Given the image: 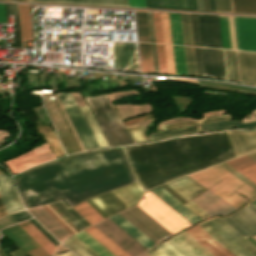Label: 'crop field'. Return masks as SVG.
<instances>
[{"instance_id":"obj_1","label":"crop field","mask_w":256,"mask_h":256,"mask_svg":"<svg viewBox=\"0 0 256 256\" xmlns=\"http://www.w3.org/2000/svg\"><path fill=\"white\" fill-rule=\"evenodd\" d=\"M133 181L135 179L122 149H114L74 156L34 169L17 177L15 184L26 208L62 199L71 207L91 196Z\"/></svg>"},{"instance_id":"obj_2","label":"crop field","mask_w":256,"mask_h":256,"mask_svg":"<svg viewBox=\"0 0 256 256\" xmlns=\"http://www.w3.org/2000/svg\"><path fill=\"white\" fill-rule=\"evenodd\" d=\"M144 189L237 157L228 133L123 148Z\"/></svg>"},{"instance_id":"obj_3","label":"crop field","mask_w":256,"mask_h":256,"mask_svg":"<svg viewBox=\"0 0 256 256\" xmlns=\"http://www.w3.org/2000/svg\"><path fill=\"white\" fill-rule=\"evenodd\" d=\"M189 176L236 209L248 202V200L232 190L246 196L250 200L256 196L255 191L219 165L190 174Z\"/></svg>"},{"instance_id":"obj_4","label":"crop field","mask_w":256,"mask_h":256,"mask_svg":"<svg viewBox=\"0 0 256 256\" xmlns=\"http://www.w3.org/2000/svg\"><path fill=\"white\" fill-rule=\"evenodd\" d=\"M87 101L110 147L133 143L125 126L111 106L107 94L88 98Z\"/></svg>"},{"instance_id":"obj_5","label":"crop field","mask_w":256,"mask_h":256,"mask_svg":"<svg viewBox=\"0 0 256 256\" xmlns=\"http://www.w3.org/2000/svg\"><path fill=\"white\" fill-rule=\"evenodd\" d=\"M198 225L235 256H256V248L219 217Z\"/></svg>"},{"instance_id":"obj_6","label":"crop field","mask_w":256,"mask_h":256,"mask_svg":"<svg viewBox=\"0 0 256 256\" xmlns=\"http://www.w3.org/2000/svg\"><path fill=\"white\" fill-rule=\"evenodd\" d=\"M144 197L137 206L173 234L191 225L150 191L145 193Z\"/></svg>"},{"instance_id":"obj_7","label":"crop field","mask_w":256,"mask_h":256,"mask_svg":"<svg viewBox=\"0 0 256 256\" xmlns=\"http://www.w3.org/2000/svg\"><path fill=\"white\" fill-rule=\"evenodd\" d=\"M85 151L98 149L99 146L82 116L72 93H57Z\"/></svg>"},{"instance_id":"obj_8","label":"crop field","mask_w":256,"mask_h":256,"mask_svg":"<svg viewBox=\"0 0 256 256\" xmlns=\"http://www.w3.org/2000/svg\"><path fill=\"white\" fill-rule=\"evenodd\" d=\"M120 215L155 243L172 235L137 206L120 213Z\"/></svg>"},{"instance_id":"obj_9","label":"crop field","mask_w":256,"mask_h":256,"mask_svg":"<svg viewBox=\"0 0 256 256\" xmlns=\"http://www.w3.org/2000/svg\"><path fill=\"white\" fill-rule=\"evenodd\" d=\"M237 50L256 51V19L234 17Z\"/></svg>"},{"instance_id":"obj_10","label":"crop field","mask_w":256,"mask_h":256,"mask_svg":"<svg viewBox=\"0 0 256 256\" xmlns=\"http://www.w3.org/2000/svg\"><path fill=\"white\" fill-rule=\"evenodd\" d=\"M203 46L222 48L218 16L199 15Z\"/></svg>"},{"instance_id":"obj_11","label":"crop field","mask_w":256,"mask_h":256,"mask_svg":"<svg viewBox=\"0 0 256 256\" xmlns=\"http://www.w3.org/2000/svg\"><path fill=\"white\" fill-rule=\"evenodd\" d=\"M167 242L183 256H213L184 231Z\"/></svg>"},{"instance_id":"obj_12","label":"crop field","mask_w":256,"mask_h":256,"mask_svg":"<svg viewBox=\"0 0 256 256\" xmlns=\"http://www.w3.org/2000/svg\"><path fill=\"white\" fill-rule=\"evenodd\" d=\"M192 201H194L211 216L215 214L226 215L236 210L209 190L192 199Z\"/></svg>"},{"instance_id":"obj_13","label":"crop field","mask_w":256,"mask_h":256,"mask_svg":"<svg viewBox=\"0 0 256 256\" xmlns=\"http://www.w3.org/2000/svg\"><path fill=\"white\" fill-rule=\"evenodd\" d=\"M0 197L8 214L24 209L11 180L5 174L0 175Z\"/></svg>"},{"instance_id":"obj_14","label":"crop field","mask_w":256,"mask_h":256,"mask_svg":"<svg viewBox=\"0 0 256 256\" xmlns=\"http://www.w3.org/2000/svg\"><path fill=\"white\" fill-rule=\"evenodd\" d=\"M184 231L214 256H233L229 251H227L223 246L216 242L197 225L192 226Z\"/></svg>"},{"instance_id":"obj_15","label":"crop field","mask_w":256,"mask_h":256,"mask_svg":"<svg viewBox=\"0 0 256 256\" xmlns=\"http://www.w3.org/2000/svg\"><path fill=\"white\" fill-rule=\"evenodd\" d=\"M203 52L206 77L225 80L222 50L203 48Z\"/></svg>"},{"instance_id":"obj_16","label":"crop field","mask_w":256,"mask_h":256,"mask_svg":"<svg viewBox=\"0 0 256 256\" xmlns=\"http://www.w3.org/2000/svg\"><path fill=\"white\" fill-rule=\"evenodd\" d=\"M151 192H153L156 196H158L162 201H164L191 224L202 220V218L184 206L179 200H177L162 187L151 190Z\"/></svg>"},{"instance_id":"obj_17","label":"crop field","mask_w":256,"mask_h":256,"mask_svg":"<svg viewBox=\"0 0 256 256\" xmlns=\"http://www.w3.org/2000/svg\"><path fill=\"white\" fill-rule=\"evenodd\" d=\"M241 82L256 85V54L237 52Z\"/></svg>"},{"instance_id":"obj_18","label":"crop field","mask_w":256,"mask_h":256,"mask_svg":"<svg viewBox=\"0 0 256 256\" xmlns=\"http://www.w3.org/2000/svg\"><path fill=\"white\" fill-rule=\"evenodd\" d=\"M167 185H169L187 201L204 190L203 187H201L187 176L174 180L172 183H167Z\"/></svg>"},{"instance_id":"obj_19","label":"crop field","mask_w":256,"mask_h":256,"mask_svg":"<svg viewBox=\"0 0 256 256\" xmlns=\"http://www.w3.org/2000/svg\"><path fill=\"white\" fill-rule=\"evenodd\" d=\"M238 155L256 150V131L248 133L229 132Z\"/></svg>"},{"instance_id":"obj_20","label":"crop field","mask_w":256,"mask_h":256,"mask_svg":"<svg viewBox=\"0 0 256 256\" xmlns=\"http://www.w3.org/2000/svg\"><path fill=\"white\" fill-rule=\"evenodd\" d=\"M98 207H100L108 216L113 215L127 208L120 200H118L111 192L100 195L91 199Z\"/></svg>"},{"instance_id":"obj_21","label":"crop field","mask_w":256,"mask_h":256,"mask_svg":"<svg viewBox=\"0 0 256 256\" xmlns=\"http://www.w3.org/2000/svg\"><path fill=\"white\" fill-rule=\"evenodd\" d=\"M226 163L256 184V162L248 156L244 155Z\"/></svg>"},{"instance_id":"obj_22","label":"crop field","mask_w":256,"mask_h":256,"mask_svg":"<svg viewBox=\"0 0 256 256\" xmlns=\"http://www.w3.org/2000/svg\"><path fill=\"white\" fill-rule=\"evenodd\" d=\"M146 7L197 10L196 0H145Z\"/></svg>"},{"instance_id":"obj_23","label":"crop field","mask_w":256,"mask_h":256,"mask_svg":"<svg viewBox=\"0 0 256 256\" xmlns=\"http://www.w3.org/2000/svg\"><path fill=\"white\" fill-rule=\"evenodd\" d=\"M143 192L137 183L112 191L127 207L136 204Z\"/></svg>"},{"instance_id":"obj_24","label":"crop field","mask_w":256,"mask_h":256,"mask_svg":"<svg viewBox=\"0 0 256 256\" xmlns=\"http://www.w3.org/2000/svg\"><path fill=\"white\" fill-rule=\"evenodd\" d=\"M110 219H112L116 224L123 228L127 233H129L133 238H135L147 249L155 244L119 214L110 217Z\"/></svg>"},{"instance_id":"obj_25","label":"crop field","mask_w":256,"mask_h":256,"mask_svg":"<svg viewBox=\"0 0 256 256\" xmlns=\"http://www.w3.org/2000/svg\"><path fill=\"white\" fill-rule=\"evenodd\" d=\"M223 48L235 49L231 17L219 16Z\"/></svg>"},{"instance_id":"obj_26","label":"crop field","mask_w":256,"mask_h":256,"mask_svg":"<svg viewBox=\"0 0 256 256\" xmlns=\"http://www.w3.org/2000/svg\"><path fill=\"white\" fill-rule=\"evenodd\" d=\"M19 225L33 238L35 239L50 255L55 250V246L42 235L29 221L19 223Z\"/></svg>"},{"instance_id":"obj_27","label":"crop field","mask_w":256,"mask_h":256,"mask_svg":"<svg viewBox=\"0 0 256 256\" xmlns=\"http://www.w3.org/2000/svg\"><path fill=\"white\" fill-rule=\"evenodd\" d=\"M91 236H93L97 241H99L103 246H105L109 251H111L115 256H129L117 245H115L111 240L104 236L93 226L85 229ZM86 232V233H87Z\"/></svg>"},{"instance_id":"obj_28","label":"crop field","mask_w":256,"mask_h":256,"mask_svg":"<svg viewBox=\"0 0 256 256\" xmlns=\"http://www.w3.org/2000/svg\"><path fill=\"white\" fill-rule=\"evenodd\" d=\"M138 41L150 42L147 12H135Z\"/></svg>"},{"instance_id":"obj_29","label":"crop field","mask_w":256,"mask_h":256,"mask_svg":"<svg viewBox=\"0 0 256 256\" xmlns=\"http://www.w3.org/2000/svg\"><path fill=\"white\" fill-rule=\"evenodd\" d=\"M63 244H65L79 256H99L74 235L63 242Z\"/></svg>"},{"instance_id":"obj_30","label":"crop field","mask_w":256,"mask_h":256,"mask_svg":"<svg viewBox=\"0 0 256 256\" xmlns=\"http://www.w3.org/2000/svg\"><path fill=\"white\" fill-rule=\"evenodd\" d=\"M74 235L77 236L80 240H82L86 245H88L100 256H114L111 252H109L105 247H103L99 242H97L93 237H91L84 230Z\"/></svg>"},{"instance_id":"obj_31","label":"crop field","mask_w":256,"mask_h":256,"mask_svg":"<svg viewBox=\"0 0 256 256\" xmlns=\"http://www.w3.org/2000/svg\"><path fill=\"white\" fill-rule=\"evenodd\" d=\"M224 53H225L228 80L239 82L235 51L224 50ZM225 61H224V65H225ZM226 69H225V75H226ZM227 77H226V80H227Z\"/></svg>"},{"instance_id":"obj_32","label":"crop field","mask_w":256,"mask_h":256,"mask_svg":"<svg viewBox=\"0 0 256 256\" xmlns=\"http://www.w3.org/2000/svg\"><path fill=\"white\" fill-rule=\"evenodd\" d=\"M90 225L103 219L86 201L73 207Z\"/></svg>"},{"instance_id":"obj_33","label":"crop field","mask_w":256,"mask_h":256,"mask_svg":"<svg viewBox=\"0 0 256 256\" xmlns=\"http://www.w3.org/2000/svg\"><path fill=\"white\" fill-rule=\"evenodd\" d=\"M81 110L83 111V113H84V115L87 119V122H88V124H89V126H90V128H91V130H92L100 148L108 147V145H107V143H106V141H105V139H104V137H103V135H102V133H101L94 117H93V115L91 114L88 106L81 107Z\"/></svg>"},{"instance_id":"obj_34","label":"crop field","mask_w":256,"mask_h":256,"mask_svg":"<svg viewBox=\"0 0 256 256\" xmlns=\"http://www.w3.org/2000/svg\"><path fill=\"white\" fill-rule=\"evenodd\" d=\"M141 68L143 73H154L150 44L139 43Z\"/></svg>"},{"instance_id":"obj_35","label":"crop field","mask_w":256,"mask_h":256,"mask_svg":"<svg viewBox=\"0 0 256 256\" xmlns=\"http://www.w3.org/2000/svg\"><path fill=\"white\" fill-rule=\"evenodd\" d=\"M37 131L38 133L42 134L48 143V145L51 147V149L54 151V153L57 155V157L64 155L59 143L57 142L52 129L50 127L45 126H39L37 125Z\"/></svg>"},{"instance_id":"obj_36","label":"crop field","mask_w":256,"mask_h":256,"mask_svg":"<svg viewBox=\"0 0 256 256\" xmlns=\"http://www.w3.org/2000/svg\"><path fill=\"white\" fill-rule=\"evenodd\" d=\"M30 1L128 6L127 0H30Z\"/></svg>"},{"instance_id":"obj_37","label":"crop field","mask_w":256,"mask_h":256,"mask_svg":"<svg viewBox=\"0 0 256 256\" xmlns=\"http://www.w3.org/2000/svg\"><path fill=\"white\" fill-rule=\"evenodd\" d=\"M6 15H14L15 48H22L17 4H5Z\"/></svg>"},{"instance_id":"obj_38","label":"crop field","mask_w":256,"mask_h":256,"mask_svg":"<svg viewBox=\"0 0 256 256\" xmlns=\"http://www.w3.org/2000/svg\"><path fill=\"white\" fill-rule=\"evenodd\" d=\"M169 17L173 44L183 45L179 14H169Z\"/></svg>"},{"instance_id":"obj_39","label":"crop field","mask_w":256,"mask_h":256,"mask_svg":"<svg viewBox=\"0 0 256 256\" xmlns=\"http://www.w3.org/2000/svg\"><path fill=\"white\" fill-rule=\"evenodd\" d=\"M234 12L256 13V0H232Z\"/></svg>"},{"instance_id":"obj_40","label":"crop field","mask_w":256,"mask_h":256,"mask_svg":"<svg viewBox=\"0 0 256 256\" xmlns=\"http://www.w3.org/2000/svg\"><path fill=\"white\" fill-rule=\"evenodd\" d=\"M167 242V241H166ZM166 242L158 245L157 247L147 251L146 253L150 256H182L179 254L175 249H173L169 244Z\"/></svg>"},{"instance_id":"obj_41","label":"crop field","mask_w":256,"mask_h":256,"mask_svg":"<svg viewBox=\"0 0 256 256\" xmlns=\"http://www.w3.org/2000/svg\"><path fill=\"white\" fill-rule=\"evenodd\" d=\"M173 49L176 74L186 75L183 46L173 45Z\"/></svg>"},{"instance_id":"obj_42","label":"crop field","mask_w":256,"mask_h":256,"mask_svg":"<svg viewBox=\"0 0 256 256\" xmlns=\"http://www.w3.org/2000/svg\"><path fill=\"white\" fill-rule=\"evenodd\" d=\"M21 33H31L28 5L18 4Z\"/></svg>"},{"instance_id":"obj_43","label":"crop field","mask_w":256,"mask_h":256,"mask_svg":"<svg viewBox=\"0 0 256 256\" xmlns=\"http://www.w3.org/2000/svg\"><path fill=\"white\" fill-rule=\"evenodd\" d=\"M184 45L193 46L189 15L180 14Z\"/></svg>"},{"instance_id":"obj_44","label":"crop field","mask_w":256,"mask_h":256,"mask_svg":"<svg viewBox=\"0 0 256 256\" xmlns=\"http://www.w3.org/2000/svg\"><path fill=\"white\" fill-rule=\"evenodd\" d=\"M187 75L196 76L193 47H184Z\"/></svg>"},{"instance_id":"obj_45","label":"crop field","mask_w":256,"mask_h":256,"mask_svg":"<svg viewBox=\"0 0 256 256\" xmlns=\"http://www.w3.org/2000/svg\"><path fill=\"white\" fill-rule=\"evenodd\" d=\"M194 46H202L198 15H190Z\"/></svg>"},{"instance_id":"obj_46","label":"crop field","mask_w":256,"mask_h":256,"mask_svg":"<svg viewBox=\"0 0 256 256\" xmlns=\"http://www.w3.org/2000/svg\"><path fill=\"white\" fill-rule=\"evenodd\" d=\"M64 216H66L79 230L85 228V226L77 220L62 204V202L53 204Z\"/></svg>"},{"instance_id":"obj_47","label":"crop field","mask_w":256,"mask_h":256,"mask_svg":"<svg viewBox=\"0 0 256 256\" xmlns=\"http://www.w3.org/2000/svg\"><path fill=\"white\" fill-rule=\"evenodd\" d=\"M197 76L205 77L202 48H194Z\"/></svg>"},{"instance_id":"obj_48","label":"crop field","mask_w":256,"mask_h":256,"mask_svg":"<svg viewBox=\"0 0 256 256\" xmlns=\"http://www.w3.org/2000/svg\"><path fill=\"white\" fill-rule=\"evenodd\" d=\"M164 43L172 44L168 14L161 13Z\"/></svg>"},{"instance_id":"obj_49","label":"crop field","mask_w":256,"mask_h":256,"mask_svg":"<svg viewBox=\"0 0 256 256\" xmlns=\"http://www.w3.org/2000/svg\"><path fill=\"white\" fill-rule=\"evenodd\" d=\"M156 42L163 43L160 13L152 12Z\"/></svg>"},{"instance_id":"obj_50","label":"crop field","mask_w":256,"mask_h":256,"mask_svg":"<svg viewBox=\"0 0 256 256\" xmlns=\"http://www.w3.org/2000/svg\"><path fill=\"white\" fill-rule=\"evenodd\" d=\"M168 74H175L172 45H164Z\"/></svg>"},{"instance_id":"obj_51","label":"crop field","mask_w":256,"mask_h":256,"mask_svg":"<svg viewBox=\"0 0 256 256\" xmlns=\"http://www.w3.org/2000/svg\"><path fill=\"white\" fill-rule=\"evenodd\" d=\"M159 73L167 74L163 45L156 44Z\"/></svg>"},{"instance_id":"obj_52","label":"crop field","mask_w":256,"mask_h":256,"mask_svg":"<svg viewBox=\"0 0 256 256\" xmlns=\"http://www.w3.org/2000/svg\"><path fill=\"white\" fill-rule=\"evenodd\" d=\"M223 168H225L227 171H229L231 174H233L234 176H236L238 179H240L242 182H244L245 184H247L249 187H251L253 190L256 191V185L254 183H252L251 181H249L247 178H245L244 176H242L241 174H239L237 171H235L234 169H232L231 167H229L227 164L223 163L220 164Z\"/></svg>"},{"instance_id":"obj_53","label":"crop field","mask_w":256,"mask_h":256,"mask_svg":"<svg viewBox=\"0 0 256 256\" xmlns=\"http://www.w3.org/2000/svg\"><path fill=\"white\" fill-rule=\"evenodd\" d=\"M144 125L129 127L128 130L130 131L135 143L144 142L146 141L142 135Z\"/></svg>"},{"instance_id":"obj_54","label":"crop field","mask_w":256,"mask_h":256,"mask_svg":"<svg viewBox=\"0 0 256 256\" xmlns=\"http://www.w3.org/2000/svg\"><path fill=\"white\" fill-rule=\"evenodd\" d=\"M216 11L231 12L230 0H215Z\"/></svg>"},{"instance_id":"obj_55","label":"crop field","mask_w":256,"mask_h":256,"mask_svg":"<svg viewBox=\"0 0 256 256\" xmlns=\"http://www.w3.org/2000/svg\"><path fill=\"white\" fill-rule=\"evenodd\" d=\"M196 125H198L197 121H191V122L161 125V128L162 130H164V129H170V128L189 127V126H196Z\"/></svg>"},{"instance_id":"obj_56","label":"crop field","mask_w":256,"mask_h":256,"mask_svg":"<svg viewBox=\"0 0 256 256\" xmlns=\"http://www.w3.org/2000/svg\"><path fill=\"white\" fill-rule=\"evenodd\" d=\"M185 205L188 206L191 210H193L196 214H198L203 219L210 217V215H208L205 211H203L200 207H198L192 201L186 203Z\"/></svg>"},{"instance_id":"obj_57","label":"crop field","mask_w":256,"mask_h":256,"mask_svg":"<svg viewBox=\"0 0 256 256\" xmlns=\"http://www.w3.org/2000/svg\"><path fill=\"white\" fill-rule=\"evenodd\" d=\"M41 233H43L56 247L59 243L48 233L46 232L35 220H29Z\"/></svg>"},{"instance_id":"obj_58","label":"crop field","mask_w":256,"mask_h":256,"mask_svg":"<svg viewBox=\"0 0 256 256\" xmlns=\"http://www.w3.org/2000/svg\"><path fill=\"white\" fill-rule=\"evenodd\" d=\"M230 116L229 115H221V116H213V117H206V118H201L199 119V123H204V122H212V121H220V120H229Z\"/></svg>"},{"instance_id":"obj_59","label":"crop field","mask_w":256,"mask_h":256,"mask_svg":"<svg viewBox=\"0 0 256 256\" xmlns=\"http://www.w3.org/2000/svg\"><path fill=\"white\" fill-rule=\"evenodd\" d=\"M9 217L14 219V220H16V221H18V222H20V221H23V220L31 218V215L28 214L26 211H23V212L11 215Z\"/></svg>"},{"instance_id":"obj_60","label":"crop field","mask_w":256,"mask_h":256,"mask_svg":"<svg viewBox=\"0 0 256 256\" xmlns=\"http://www.w3.org/2000/svg\"><path fill=\"white\" fill-rule=\"evenodd\" d=\"M198 82L215 84V85H222V86H229V87H236V88H243V89H249V90H256V88L237 86V85H230V84H223V83H217V82H211V81L198 80Z\"/></svg>"},{"instance_id":"obj_61","label":"crop field","mask_w":256,"mask_h":256,"mask_svg":"<svg viewBox=\"0 0 256 256\" xmlns=\"http://www.w3.org/2000/svg\"><path fill=\"white\" fill-rule=\"evenodd\" d=\"M129 6L145 7L144 0H128Z\"/></svg>"},{"instance_id":"obj_62","label":"crop field","mask_w":256,"mask_h":256,"mask_svg":"<svg viewBox=\"0 0 256 256\" xmlns=\"http://www.w3.org/2000/svg\"><path fill=\"white\" fill-rule=\"evenodd\" d=\"M151 42H155L151 12H148Z\"/></svg>"},{"instance_id":"obj_63","label":"crop field","mask_w":256,"mask_h":256,"mask_svg":"<svg viewBox=\"0 0 256 256\" xmlns=\"http://www.w3.org/2000/svg\"><path fill=\"white\" fill-rule=\"evenodd\" d=\"M155 73H158L155 44L151 43Z\"/></svg>"},{"instance_id":"obj_64","label":"crop field","mask_w":256,"mask_h":256,"mask_svg":"<svg viewBox=\"0 0 256 256\" xmlns=\"http://www.w3.org/2000/svg\"><path fill=\"white\" fill-rule=\"evenodd\" d=\"M14 223H17V222L8 218V217L0 219V225H2L4 227H6L8 225H11V224H14Z\"/></svg>"},{"instance_id":"obj_65","label":"crop field","mask_w":256,"mask_h":256,"mask_svg":"<svg viewBox=\"0 0 256 256\" xmlns=\"http://www.w3.org/2000/svg\"><path fill=\"white\" fill-rule=\"evenodd\" d=\"M69 211L78 218L86 227L90 226L73 208L69 209Z\"/></svg>"},{"instance_id":"obj_66","label":"crop field","mask_w":256,"mask_h":256,"mask_svg":"<svg viewBox=\"0 0 256 256\" xmlns=\"http://www.w3.org/2000/svg\"><path fill=\"white\" fill-rule=\"evenodd\" d=\"M0 23H6L4 4H0Z\"/></svg>"},{"instance_id":"obj_67","label":"crop field","mask_w":256,"mask_h":256,"mask_svg":"<svg viewBox=\"0 0 256 256\" xmlns=\"http://www.w3.org/2000/svg\"><path fill=\"white\" fill-rule=\"evenodd\" d=\"M0 173H3L1 170H0ZM7 213H6V211H5V209H4V206H3V204H2V202H1V200H0V216H2V215H6Z\"/></svg>"},{"instance_id":"obj_68","label":"crop field","mask_w":256,"mask_h":256,"mask_svg":"<svg viewBox=\"0 0 256 256\" xmlns=\"http://www.w3.org/2000/svg\"><path fill=\"white\" fill-rule=\"evenodd\" d=\"M198 10H204L203 0H197Z\"/></svg>"},{"instance_id":"obj_69","label":"crop field","mask_w":256,"mask_h":256,"mask_svg":"<svg viewBox=\"0 0 256 256\" xmlns=\"http://www.w3.org/2000/svg\"><path fill=\"white\" fill-rule=\"evenodd\" d=\"M55 256H76V255H74L72 252L68 251L66 253L55 255Z\"/></svg>"},{"instance_id":"obj_70","label":"crop field","mask_w":256,"mask_h":256,"mask_svg":"<svg viewBox=\"0 0 256 256\" xmlns=\"http://www.w3.org/2000/svg\"><path fill=\"white\" fill-rule=\"evenodd\" d=\"M204 7H205V10L210 11L209 0H204Z\"/></svg>"},{"instance_id":"obj_71","label":"crop field","mask_w":256,"mask_h":256,"mask_svg":"<svg viewBox=\"0 0 256 256\" xmlns=\"http://www.w3.org/2000/svg\"><path fill=\"white\" fill-rule=\"evenodd\" d=\"M250 158H252L253 160L256 161V152H253V153H250V154H247Z\"/></svg>"},{"instance_id":"obj_72","label":"crop field","mask_w":256,"mask_h":256,"mask_svg":"<svg viewBox=\"0 0 256 256\" xmlns=\"http://www.w3.org/2000/svg\"><path fill=\"white\" fill-rule=\"evenodd\" d=\"M210 7H211V11H215L214 0H210Z\"/></svg>"},{"instance_id":"obj_73","label":"crop field","mask_w":256,"mask_h":256,"mask_svg":"<svg viewBox=\"0 0 256 256\" xmlns=\"http://www.w3.org/2000/svg\"><path fill=\"white\" fill-rule=\"evenodd\" d=\"M253 207L256 208V199L250 203Z\"/></svg>"},{"instance_id":"obj_74","label":"crop field","mask_w":256,"mask_h":256,"mask_svg":"<svg viewBox=\"0 0 256 256\" xmlns=\"http://www.w3.org/2000/svg\"><path fill=\"white\" fill-rule=\"evenodd\" d=\"M141 256H147L146 254H143V255H141Z\"/></svg>"},{"instance_id":"obj_75","label":"crop field","mask_w":256,"mask_h":256,"mask_svg":"<svg viewBox=\"0 0 256 256\" xmlns=\"http://www.w3.org/2000/svg\"><path fill=\"white\" fill-rule=\"evenodd\" d=\"M26 1H29V0H26Z\"/></svg>"}]
</instances>
